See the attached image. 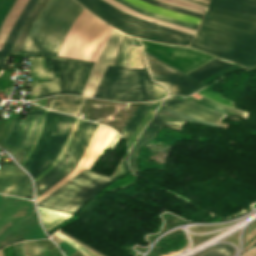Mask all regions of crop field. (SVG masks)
Here are the masks:
<instances>
[{
	"label": "crop field",
	"instance_id": "ac0d7876",
	"mask_svg": "<svg viewBox=\"0 0 256 256\" xmlns=\"http://www.w3.org/2000/svg\"><path fill=\"white\" fill-rule=\"evenodd\" d=\"M83 9L74 0H48L31 27L23 54L37 55L42 50L40 56H56L68 28Z\"/></svg>",
	"mask_w": 256,
	"mask_h": 256
},
{
	"label": "crop field",
	"instance_id": "dafd665d",
	"mask_svg": "<svg viewBox=\"0 0 256 256\" xmlns=\"http://www.w3.org/2000/svg\"><path fill=\"white\" fill-rule=\"evenodd\" d=\"M47 2V0H39L36 5L34 6V8L32 9V11L30 12V14L28 15L24 25L22 26L20 33L15 41V43L13 44L11 50L9 53L11 54H16L18 55L20 52V49L23 45L25 36L31 26V24L33 23L34 19L36 18L37 14L40 12V10L42 9V7L44 6V4Z\"/></svg>",
	"mask_w": 256,
	"mask_h": 256
},
{
	"label": "crop field",
	"instance_id": "733c2abd",
	"mask_svg": "<svg viewBox=\"0 0 256 256\" xmlns=\"http://www.w3.org/2000/svg\"><path fill=\"white\" fill-rule=\"evenodd\" d=\"M209 6L256 16V0H211Z\"/></svg>",
	"mask_w": 256,
	"mask_h": 256
},
{
	"label": "crop field",
	"instance_id": "a9b5d70f",
	"mask_svg": "<svg viewBox=\"0 0 256 256\" xmlns=\"http://www.w3.org/2000/svg\"><path fill=\"white\" fill-rule=\"evenodd\" d=\"M38 209H39L42 221L45 227L47 228V230L56 226L57 224H59L60 222L64 221L65 219L71 216L66 213H62L59 211H54V210H50L42 207H39Z\"/></svg>",
	"mask_w": 256,
	"mask_h": 256
},
{
	"label": "crop field",
	"instance_id": "5142ce71",
	"mask_svg": "<svg viewBox=\"0 0 256 256\" xmlns=\"http://www.w3.org/2000/svg\"><path fill=\"white\" fill-rule=\"evenodd\" d=\"M110 130L111 129L108 127L102 126L100 124L98 125V127H97L89 145L87 146L79 164L77 163L79 167L88 168V169L91 168V166H92L96 156L98 155L103 143L105 142ZM112 130H111L106 142L104 143L99 155L97 156L95 162L102 155V153L109 146V144L113 141V139L116 137L117 133H115ZM95 162H94V164H95Z\"/></svg>",
	"mask_w": 256,
	"mask_h": 256
},
{
	"label": "crop field",
	"instance_id": "eef30255",
	"mask_svg": "<svg viewBox=\"0 0 256 256\" xmlns=\"http://www.w3.org/2000/svg\"><path fill=\"white\" fill-rule=\"evenodd\" d=\"M151 123L179 130L180 127L183 125L184 121H180V120L155 114Z\"/></svg>",
	"mask_w": 256,
	"mask_h": 256
},
{
	"label": "crop field",
	"instance_id": "8a807250",
	"mask_svg": "<svg viewBox=\"0 0 256 256\" xmlns=\"http://www.w3.org/2000/svg\"><path fill=\"white\" fill-rule=\"evenodd\" d=\"M189 47L251 68L256 61V24L205 13Z\"/></svg>",
	"mask_w": 256,
	"mask_h": 256
},
{
	"label": "crop field",
	"instance_id": "28ad6ade",
	"mask_svg": "<svg viewBox=\"0 0 256 256\" xmlns=\"http://www.w3.org/2000/svg\"><path fill=\"white\" fill-rule=\"evenodd\" d=\"M140 42L144 50L185 74L215 58L189 48L166 46L145 40Z\"/></svg>",
	"mask_w": 256,
	"mask_h": 256
},
{
	"label": "crop field",
	"instance_id": "1d83c4d3",
	"mask_svg": "<svg viewBox=\"0 0 256 256\" xmlns=\"http://www.w3.org/2000/svg\"><path fill=\"white\" fill-rule=\"evenodd\" d=\"M195 99H197L199 101H202V102H205L207 104H210V105H212L214 107H217V108H220V109H223V110H226V111H229V112H232V113H235L237 115H240V116H243V117L247 118V113L239 111V110H236V109H233V108H229V107L223 106V105L218 104V103H216V102H214V101H212V100H210V99H208V98H206V97H204L202 95L197 97V98H195Z\"/></svg>",
	"mask_w": 256,
	"mask_h": 256
},
{
	"label": "crop field",
	"instance_id": "00972430",
	"mask_svg": "<svg viewBox=\"0 0 256 256\" xmlns=\"http://www.w3.org/2000/svg\"><path fill=\"white\" fill-rule=\"evenodd\" d=\"M152 102H145L141 103L138 109L135 111L133 116L130 118V120L127 122V124L124 126V128L121 130L119 134L124 136L127 140V138L130 136V134L133 132V130L137 127L145 113L147 112L149 106Z\"/></svg>",
	"mask_w": 256,
	"mask_h": 256
},
{
	"label": "crop field",
	"instance_id": "0bd39190",
	"mask_svg": "<svg viewBox=\"0 0 256 256\" xmlns=\"http://www.w3.org/2000/svg\"><path fill=\"white\" fill-rule=\"evenodd\" d=\"M122 137L118 134L115 141L109 146V148L113 149L114 146L119 142V140L121 139Z\"/></svg>",
	"mask_w": 256,
	"mask_h": 256
},
{
	"label": "crop field",
	"instance_id": "cbeb9de0",
	"mask_svg": "<svg viewBox=\"0 0 256 256\" xmlns=\"http://www.w3.org/2000/svg\"><path fill=\"white\" fill-rule=\"evenodd\" d=\"M183 99L184 101L174 96H169L163 100V102L161 103V106L204 120L209 123H213V124H215L223 116V114L209 110L185 98ZM216 124L227 127V124H221L219 123V121Z\"/></svg>",
	"mask_w": 256,
	"mask_h": 256
},
{
	"label": "crop field",
	"instance_id": "dd49c442",
	"mask_svg": "<svg viewBox=\"0 0 256 256\" xmlns=\"http://www.w3.org/2000/svg\"><path fill=\"white\" fill-rule=\"evenodd\" d=\"M146 64L149 68L150 75L155 82L164 86L169 94H179L187 96L196 90L204 87L199 83L201 79L219 71L234 63L224 61L221 59H214L189 74L185 75L172 66L164 63L163 61L153 57L144 51ZM199 81V82H198ZM202 81V80H201Z\"/></svg>",
	"mask_w": 256,
	"mask_h": 256
},
{
	"label": "crop field",
	"instance_id": "750c4746",
	"mask_svg": "<svg viewBox=\"0 0 256 256\" xmlns=\"http://www.w3.org/2000/svg\"><path fill=\"white\" fill-rule=\"evenodd\" d=\"M200 94L218 102V103H221V104H224L226 106H230L232 107L233 106V102L222 97L221 95L217 94L216 92L212 91L211 89L205 87L201 90L198 91ZM247 112V111H246Z\"/></svg>",
	"mask_w": 256,
	"mask_h": 256
},
{
	"label": "crop field",
	"instance_id": "92a150f3",
	"mask_svg": "<svg viewBox=\"0 0 256 256\" xmlns=\"http://www.w3.org/2000/svg\"><path fill=\"white\" fill-rule=\"evenodd\" d=\"M161 129V126L154 125L149 123L147 127L144 129L143 133L131 149L129 156H128V162L129 166L132 170V172L136 171V161L138 157V150L141 146L148 143Z\"/></svg>",
	"mask_w": 256,
	"mask_h": 256
},
{
	"label": "crop field",
	"instance_id": "d1516ede",
	"mask_svg": "<svg viewBox=\"0 0 256 256\" xmlns=\"http://www.w3.org/2000/svg\"><path fill=\"white\" fill-rule=\"evenodd\" d=\"M0 192L32 199L29 177L13 162L0 168Z\"/></svg>",
	"mask_w": 256,
	"mask_h": 256
},
{
	"label": "crop field",
	"instance_id": "b54c1fbb",
	"mask_svg": "<svg viewBox=\"0 0 256 256\" xmlns=\"http://www.w3.org/2000/svg\"><path fill=\"white\" fill-rule=\"evenodd\" d=\"M200 1H202V0H200ZM205 2V1H204ZM208 3V2H207Z\"/></svg>",
	"mask_w": 256,
	"mask_h": 256
},
{
	"label": "crop field",
	"instance_id": "5a996713",
	"mask_svg": "<svg viewBox=\"0 0 256 256\" xmlns=\"http://www.w3.org/2000/svg\"><path fill=\"white\" fill-rule=\"evenodd\" d=\"M51 60V74L49 71ZM94 64L80 63L61 58H46L47 80L50 83H39L38 99L56 94L81 95ZM59 72V78L55 73Z\"/></svg>",
	"mask_w": 256,
	"mask_h": 256
},
{
	"label": "crop field",
	"instance_id": "e1f06a70",
	"mask_svg": "<svg viewBox=\"0 0 256 256\" xmlns=\"http://www.w3.org/2000/svg\"><path fill=\"white\" fill-rule=\"evenodd\" d=\"M27 243H28V254H29V256H34V253H35V256H38L37 247H36V242L33 241V244H34V253H33L32 241H27Z\"/></svg>",
	"mask_w": 256,
	"mask_h": 256
},
{
	"label": "crop field",
	"instance_id": "d3111659",
	"mask_svg": "<svg viewBox=\"0 0 256 256\" xmlns=\"http://www.w3.org/2000/svg\"><path fill=\"white\" fill-rule=\"evenodd\" d=\"M206 12L256 23V17H252V16L242 15V14L228 12V11L219 10V9H214V8H210V7L207 8Z\"/></svg>",
	"mask_w": 256,
	"mask_h": 256
},
{
	"label": "crop field",
	"instance_id": "4a817a6b",
	"mask_svg": "<svg viewBox=\"0 0 256 256\" xmlns=\"http://www.w3.org/2000/svg\"><path fill=\"white\" fill-rule=\"evenodd\" d=\"M85 98L63 95V96H53L50 99L49 109L60 111L64 113H69L77 115L83 101Z\"/></svg>",
	"mask_w": 256,
	"mask_h": 256
},
{
	"label": "crop field",
	"instance_id": "5866460e",
	"mask_svg": "<svg viewBox=\"0 0 256 256\" xmlns=\"http://www.w3.org/2000/svg\"><path fill=\"white\" fill-rule=\"evenodd\" d=\"M143 1H146L148 3L154 4V5H157V6L172 10V11H176V12H180V13H184V14H188V15H192V16H196V17H200V18L202 17L201 14L189 12L190 10L186 11V10H183V9H179V8H176V7H173V6H169V5L154 1V0H143Z\"/></svg>",
	"mask_w": 256,
	"mask_h": 256
},
{
	"label": "crop field",
	"instance_id": "d9b57169",
	"mask_svg": "<svg viewBox=\"0 0 256 256\" xmlns=\"http://www.w3.org/2000/svg\"><path fill=\"white\" fill-rule=\"evenodd\" d=\"M32 107V106H31ZM33 108V107H32ZM36 108L30 109L25 120L16 119L3 146L4 148L11 151L12 155L19 148L27 129L31 123L34 116Z\"/></svg>",
	"mask_w": 256,
	"mask_h": 256
},
{
	"label": "crop field",
	"instance_id": "c035e120",
	"mask_svg": "<svg viewBox=\"0 0 256 256\" xmlns=\"http://www.w3.org/2000/svg\"><path fill=\"white\" fill-rule=\"evenodd\" d=\"M131 43H132V44H136V45H140V43L138 42V40H137L136 38H134ZM140 46H141V45H140Z\"/></svg>",
	"mask_w": 256,
	"mask_h": 256
},
{
	"label": "crop field",
	"instance_id": "214f88e0",
	"mask_svg": "<svg viewBox=\"0 0 256 256\" xmlns=\"http://www.w3.org/2000/svg\"><path fill=\"white\" fill-rule=\"evenodd\" d=\"M44 108L39 107L36 111L33 123L21 145V147L17 150V152L13 155V157L15 158V160L20 164V162L22 161L23 157L26 155V153L29 151L35 136L37 134L38 128H39V124L42 118V115L44 113Z\"/></svg>",
	"mask_w": 256,
	"mask_h": 256
},
{
	"label": "crop field",
	"instance_id": "d32e631a",
	"mask_svg": "<svg viewBox=\"0 0 256 256\" xmlns=\"http://www.w3.org/2000/svg\"><path fill=\"white\" fill-rule=\"evenodd\" d=\"M126 155H127V150H126L125 154L123 155L119 165L117 166L115 171L112 173L111 177L117 179V178L121 177L122 175L126 174L127 172H129L128 167L125 162Z\"/></svg>",
	"mask_w": 256,
	"mask_h": 256
},
{
	"label": "crop field",
	"instance_id": "4177f3b9",
	"mask_svg": "<svg viewBox=\"0 0 256 256\" xmlns=\"http://www.w3.org/2000/svg\"><path fill=\"white\" fill-rule=\"evenodd\" d=\"M118 2H120L121 4L135 10V11H138L140 13H143V14H147V15H150V16H153V17H156V18H159V19H162L164 21H167V22H170V23H173V24H177V25H180V26H184V27H188V28H191V29H197V26L196 25H192V24H188V23H184V22H181V21H178V20H175L173 18H170V17H166V16H162V15H159V14H156V13H153L151 11H148V10H145V9H142V8H139V7H136L128 2H126L125 0H117Z\"/></svg>",
	"mask_w": 256,
	"mask_h": 256
},
{
	"label": "crop field",
	"instance_id": "730fd06b",
	"mask_svg": "<svg viewBox=\"0 0 256 256\" xmlns=\"http://www.w3.org/2000/svg\"><path fill=\"white\" fill-rule=\"evenodd\" d=\"M132 37L124 35L114 65H129V46Z\"/></svg>",
	"mask_w": 256,
	"mask_h": 256
},
{
	"label": "crop field",
	"instance_id": "22f410ed",
	"mask_svg": "<svg viewBox=\"0 0 256 256\" xmlns=\"http://www.w3.org/2000/svg\"><path fill=\"white\" fill-rule=\"evenodd\" d=\"M123 35V33L114 29L108 43L106 44L102 54L100 55L99 59L96 62V65L93 68L90 79L82 94L83 96L92 97L106 68V65L103 64H113Z\"/></svg>",
	"mask_w": 256,
	"mask_h": 256
},
{
	"label": "crop field",
	"instance_id": "120bbe31",
	"mask_svg": "<svg viewBox=\"0 0 256 256\" xmlns=\"http://www.w3.org/2000/svg\"><path fill=\"white\" fill-rule=\"evenodd\" d=\"M135 180H136V178L131 174V175L113 183L109 187L102 190V192H106V191L112 190L114 188H122V187L128 186V185L134 183Z\"/></svg>",
	"mask_w": 256,
	"mask_h": 256
},
{
	"label": "crop field",
	"instance_id": "bd1437ed",
	"mask_svg": "<svg viewBox=\"0 0 256 256\" xmlns=\"http://www.w3.org/2000/svg\"><path fill=\"white\" fill-rule=\"evenodd\" d=\"M83 170V168H79L76 167L75 169H73L65 178H63L61 181H59L57 184H55L53 187H51L50 189H48L46 192H44L43 194H41L39 197H37V202H39L41 199H43L44 197H46L48 194H50L51 192H53L54 190H56L58 187H60L62 184H64L66 181H68L69 179H71L73 176H75L76 174H78L79 172H81Z\"/></svg>",
	"mask_w": 256,
	"mask_h": 256
},
{
	"label": "crop field",
	"instance_id": "e52e79f7",
	"mask_svg": "<svg viewBox=\"0 0 256 256\" xmlns=\"http://www.w3.org/2000/svg\"><path fill=\"white\" fill-rule=\"evenodd\" d=\"M75 117L47 111L37 145L23 166L33 179L42 173L60 152Z\"/></svg>",
	"mask_w": 256,
	"mask_h": 256
},
{
	"label": "crop field",
	"instance_id": "028f5c9d",
	"mask_svg": "<svg viewBox=\"0 0 256 256\" xmlns=\"http://www.w3.org/2000/svg\"><path fill=\"white\" fill-rule=\"evenodd\" d=\"M56 233V232H55ZM58 237H60L61 239L67 241L68 243L74 245L75 247L79 248L82 250V252L86 253L89 256H97L95 254H93L92 252H90L89 250L85 249L84 247H82L81 245L77 244L76 242H74L73 240L69 239L68 237H66L65 235L61 234L60 232H57L56 234H54ZM80 250V251H81Z\"/></svg>",
	"mask_w": 256,
	"mask_h": 256
},
{
	"label": "crop field",
	"instance_id": "c21b1889",
	"mask_svg": "<svg viewBox=\"0 0 256 256\" xmlns=\"http://www.w3.org/2000/svg\"><path fill=\"white\" fill-rule=\"evenodd\" d=\"M20 245H21V249H22V254H23V256H25L22 242H20Z\"/></svg>",
	"mask_w": 256,
	"mask_h": 256
},
{
	"label": "crop field",
	"instance_id": "bc2a9ffb",
	"mask_svg": "<svg viewBox=\"0 0 256 256\" xmlns=\"http://www.w3.org/2000/svg\"><path fill=\"white\" fill-rule=\"evenodd\" d=\"M37 0H29L28 3L26 4V6L24 7L21 15L19 16L12 32L10 33L7 41L5 42L2 51L0 52V68H3L5 66V62L7 59V55L8 52L24 22V20L26 19L27 15L29 14V12L31 11V9L33 8V6L35 5Z\"/></svg>",
	"mask_w": 256,
	"mask_h": 256
},
{
	"label": "crop field",
	"instance_id": "412701ff",
	"mask_svg": "<svg viewBox=\"0 0 256 256\" xmlns=\"http://www.w3.org/2000/svg\"><path fill=\"white\" fill-rule=\"evenodd\" d=\"M96 16L117 29L138 38L155 40L167 44L187 46L193 35L171 30L125 14L102 0H77Z\"/></svg>",
	"mask_w": 256,
	"mask_h": 256
},
{
	"label": "crop field",
	"instance_id": "3316defc",
	"mask_svg": "<svg viewBox=\"0 0 256 256\" xmlns=\"http://www.w3.org/2000/svg\"><path fill=\"white\" fill-rule=\"evenodd\" d=\"M97 124L80 120L75 133L69 143V146L57 163V165L48 171L41 179L36 181L37 195L48 189L58 180L65 177L79 162L86 146L88 145Z\"/></svg>",
	"mask_w": 256,
	"mask_h": 256
},
{
	"label": "crop field",
	"instance_id": "d8731c3e",
	"mask_svg": "<svg viewBox=\"0 0 256 256\" xmlns=\"http://www.w3.org/2000/svg\"><path fill=\"white\" fill-rule=\"evenodd\" d=\"M114 180L85 169L37 204L73 214Z\"/></svg>",
	"mask_w": 256,
	"mask_h": 256
},
{
	"label": "crop field",
	"instance_id": "34b2d1b8",
	"mask_svg": "<svg viewBox=\"0 0 256 256\" xmlns=\"http://www.w3.org/2000/svg\"><path fill=\"white\" fill-rule=\"evenodd\" d=\"M130 66L144 67L140 46L130 47ZM108 66L93 97L123 102L151 101L155 93L145 68ZM143 88L136 91H127Z\"/></svg>",
	"mask_w": 256,
	"mask_h": 256
},
{
	"label": "crop field",
	"instance_id": "f4fd0767",
	"mask_svg": "<svg viewBox=\"0 0 256 256\" xmlns=\"http://www.w3.org/2000/svg\"><path fill=\"white\" fill-rule=\"evenodd\" d=\"M113 28L83 10L69 28L57 56L96 62Z\"/></svg>",
	"mask_w": 256,
	"mask_h": 256
},
{
	"label": "crop field",
	"instance_id": "b80d0937",
	"mask_svg": "<svg viewBox=\"0 0 256 256\" xmlns=\"http://www.w3.org/2000/svg\"><path fill=\"white\" fill-rule=\"evenodd\" d=\"M189 1H192V2H195V3H198V4H202V5L207 6V3L200 2V1H197V0H189Z\"/></svg>",
	"mask_w": 256,
	"mask_h": 256
},
{
	"label": "crop field",
	"instance_id": "ae1a2a85",
	"mask_svg": "<svg viewBox=\"0 0 256 256\" xmlns=\"http://www.w3.org/2000/svg\"><path fill=\"white\" fill-rule=\"evenodd\" d=\"M233 248L229 245H217L197 256H231Z\"/></svg>",
	"mask_w": 256,
	"mask_h": 256
},
{
	"label": "crop field",
	"instance_id": "03da06ac",
	"mask_svg": "<svg viewBox=\"0 0 256 256\" xmlns=\"http://www.w3.org/2000/svg\"><path fill=\"white\" fill-rule=\"evenodd\" d=\"M0 256H2V252H1V250H0Z\"/></svg>",
	"mask_w": 256,
	"mask_h": 256
}]
</instances>
